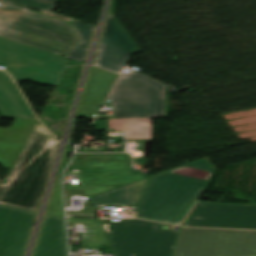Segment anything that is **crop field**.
I'll return each instance as SVG.
<instances>
[{"label": "crop field", "mask_w": 256, "mask_h": 256, "mask_svg": "<svg viewBox=\"0 0 256 256\" xmlns=\"http://www.w3.org/2000/svg\"><path fill=\"white\" fill-rule=\"evenodd\" d=\"M59 0H3L0 36L63 56L79 42L64 16L51 13ZM25 8L43 10L36 14Z\"/></svg>", "instance_id": "8a807250"}, {"label": "crop field", "mask_w": 256, "mask_h": 256, "mask_svg": "<svg viewBox=\"0 0 256 256\" xmlns=\"http://www.w3.org/2000/svg\"><path fill=\"white\" fill-rule=\"evenodd\" d=\"M215 170L202 159L154 175L138 205L137 217L181 224Z\"/></svg>", "instance_id": "ac0d7876"}, {"label": "crop field", "mask_w": 256, "mask_h": 256, "mask_svg": "<svg viewBox=\"0 0 256 256\" xmlns=\"http://www.w3.org/2000/svg\"><path fill=\"white\" fill-rule=\"evenodd\" d=\"M55 137L38 122L0 191V204L38 211L55 156Z\"/></svg>", "instance_id": "34b2d1b8"}, {"label": "crop field", "mask_w": 256, "mask_h": 256, "mask_svg": "<svg viewBox=\"0 0 256 256\" xmlns=\"http://www.w3.org/2000/svg\"><path fill=\"white\" fill-rule=\"evenodd\" d=\"M101 225L114 256H172L179 232L140 220Z\"/></svg>", "instance_id": "412701ff"}, {"label": "crop field", "mask_w": 256, "mask_h": 256, "mask_svg": "<svg viewBox=\"0 0 256 256\" xmlns=\"http://www.w3.org/2000/svg\"><path fill=\"white\" fill-rule=\"evenodd\" d=\"M109 98L114 118L164 117L166 85L134 72L118 78Z\"/></svg>", "instance_id": "f4fd0767"}, {"label": "crop field", "mask_w": 256, "mask_h": 256, "mask_svg": "<svg viewBox=\"0 0 256 256\" xmlns=\"http://www.w3.org/2000/svg\"><path fill=\"white\" fill-rule=\"evenodd\" d=\"M174 256H256V231L182 228Z\"/></svg>", "instance_id": "dd49c442"}, {"label": "crop field", "mask_w": 256, "mask_h": 256, "mask_svg": "<svg viewBox=\"0 0 256 256\" xmlns=\"http://www.w3.org/2000/svg\"><path fill=\"white\" fill-rule=\"evenodd\" d=\"M71 60L0 37V65L15 81L32 79L55 84Z\"/></svg>", "instance_id": "e52e79f7"}, {"label": "crop field", "mask_w": 256, "mask_h": 256, "mask_svg": "<svg viewBox=\"0 0 256 256\" xmlns=\"http://www.w3.org/2000/svg\"><path fill=\"white\" fill-rule=\"evenodd\" d=\"M184 226L256 229V206L197 201Z\"/></svg>", "instance_id": "d8731c3e"}, {"label": "crop field", "mask_w": 256, "mask_h": 256, "mask_svg": "<svg viewBox=\"0 0 256 256\" xmlns=\"http://www.w3.org/2000/svg\"><path fill=\"white\" fill-rule=\"evenodd\" d=\"M36 213L0 205V256H24Z\"/></svg>", "instance_id": "5a996713"}, {"label": "crop field", "mask_w": 256, "mask_h": 256, "mask_svg": "<svg viewBox=\"0 0 256 256\" xmlns=\"http://www.w3.org/2000/svg\"><path fill=\"white\" fill-rule=\"evenodd\" d=\"M86 168H100L84 173L82 187L88 197L125 184L124 154H88Z\"/></svg>", "instance_id": "3316defc"}, {"label": "crop field", "mask_w": 256, "mask_h": 256, "mask_svg": "<svg viewBox=\"0 0 256 256\" xmlns=\"http://www.w3.org/2000/svg\"><path fill=\"white\" fill-rule=\"evenodd\" d=\"M37 121L15 119L9 129H0V164L12 168Z\"/></svg>", "instance_id": "28ad6ade"}, {"label": "crop field", "mask_w": 256, "mask_h": 256, "mask_svg": "<svg viewBox=\"0 0 256 256\" xmlns=\"http://www.w3.org/2000/svg\"><path fill=\"white\" fill-rule=\"evenodd\" d=\"M117 77V75L103 70L91 68L89 80L78 111V113H83L81 117H95Z\"/></svg>", "instance_id": "d1516ede"}, {"label": "crop field", "mask_w": 256, "mask_h": 256, "mask_svg": "<svg viewBox=\"0 0 256 256\" xmlns=\"http://www.w3.org/2000/svg\"><path fill=\"white\" fill-rule=\"evenodd\" d=\"M33 256H67L64 218L45 216Z\"/></svg>", "instance_id": "22f410ed"}, {"label": "crop field", "mask_w": 256, "mask_h": 256, "mask_svg": "<svg viewBox=\"0 0 256 256\" xmlns=\"http://www.w3.org/2000/svg\"><path fill=\"white\" fill-rule=\"evenodd\" d=\"M0 114L3 117L36 120L14 83L0 71Z\"/></svg>", "instance_id": "cbeb9de0"}, {"label": "crop field", "mask_w": 256, "mask_h": 256, "mask_svg": "<svg viewBox=\"0 0 256 256\" xmlns=\"http://www.w3.org/2000/svg\"><path fill=\"white\" fill-rule=\"evenodd\" d=\"M149 178L137 180L127 185L90 197L93 207L114 205H137Z\"/></svg>", "instance_id": "5142ce71"}, {"label": "crop field", "mask_w": 256, "mask_h": 256, "mask_svg": "<svg viewBox=\"0 0 256 256\" xmlns=\"http://www.w3.org/2000/svg\"><path fill=\"white\" fill-rule=\"evenodd\" d=\"M94 67L119 75L130 53L102 34Z\"/></svg>", "instance_id": "d9b57169"}, {"label": "crop field", "mask_w": 256, "mask_h": 256, "mask_svg": "<svg viewBox=\"0 0 256 256\" xmlns=\"http://www.w3.org/2000/svg\"><path fill=\"white\" fill-rule=\"evenodd\" d=\"M71 25L76 31L80 42L67 52L64 57L73 61L83 62L95 27L77 20L71 22Z\"/></svg>", "instance_id": "733c2abd"}, {"label": "crop field", "mask_w": 256, "mask_h": 256, "mask_svg": "<svg viewBox=\"0 0 256 256\" xmlns=\"http://www.w3.org/2000/svg\"><path fill=\"white\" fill-rule=\"evenodd\" d=\"M148 119H114L110 131H124L127 136H151Z\"/></svg>", "instance_id": "4a817a6b"}, {"label": "crop field", "mask_w": 256, "mask_h": 256, "mask_svg": "<svg viewBox=\"0 0 256 256\" xmlns=\"http://www.w3.org/2000/svg\"><path fill=\"white\" fill-rule=\"evenodd\" d=\"M103 33H105L107 36H109L111 39H113L130 53L139 51L138 47L134 44V42L119 25V23L116 21L111 13L108 14Z\"/></svg>", "instance_id": "bc2a9ffb"}, {"label": "crop field", "mask_w": 256, "mask_h": 256, "mask_svg": "<svg viewBox=\"0 0 256 256\" xmlns=\"http://www.w3.org/2000/svg\"><path fill=\"white\" fill-rule=\"evenodd\" d=\"M46 214L64 217L59 180L55 181Z\"/></svg>", "instance_id": "214f88e0"}, {"label": "crop field", "mask_w": 256, "mask_h": 256, "mask_svg": "<svg viewBox=\"0 0 256 256\" xmlns=\"http://www.w3.org/2000/svg\"><path fill=\"white\" fill-rule=\"evenodd\" d=\"M125 169H126V184H127L130 182V178H131L130 154H125Z\"/></svg>", "instance_id": "92a150f3"}, {"label": "crop field", "mask_w": 256, "mask_h": 256, "mask_svg": "<svg viewBox=\"0 0 256 256\" xmlns=\"http://www.w3.org/2000/svg\"><path fill=\"white\" fill-rule=\"evenodd\" d=\"M109 135L122 136L123 132H110Z\"/></svg>", "instance_id": "dafd665d"}, {"label": "crop field", "mask_w": 256, "mask_h": 256, "mask_svg": "<svg viewBox=\"0 0 256 256\" xmlns=\"http://www.w3.org/2000/svg\"><path fill=\"white\" fill-rule=\"evenodd\" d=\"M128 139H150V137H127Z\"/></svg>", "instance_id": "00972430"}, {"label": "crop field", "mask_w": 256, "mask_h": 256, "mask_svg": "<svg viewBox=\"0 0 256 256\" xmlns=\"http://www.w3.org/2000/svg\"><path fill=\"white\" fill-rule=\"evenodd\" d=\"M2 185H3V184H2V183H0V189H1Z\"/></svg>", "instance_id": "a9b5d70f"}]
</instances>
